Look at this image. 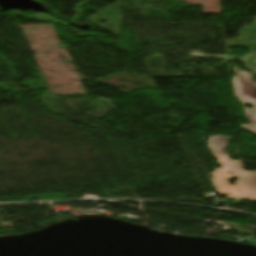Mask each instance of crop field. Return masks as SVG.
Here are the masks:
<instances>
[{"label": "crop field", "instance_id": "obj_3", "mask_svg": "<svg viewBox=\"0 0 256 256\" xmlns=\"http://www.w3.org/2000/svg\"><path fill=\"white\" fill-rule=\"evenodd\" d=\"M248 200H256V171H245Z\"/></svg>", "mask_w": 256, "mask_h": 256}, {"label": "crop field", "instance_id": "obj_1", "mask_svg": "<svg viewBox=\"0 0 256 256\" xmlns=\"http://www.w3.org/2000/svg\"><path fill=\"white\" fill-rule=\"evenodd\" d=\"M227 142L228 138L222 136H212L208 142L213 155L218 157V163L222 165V169H215L213 182L219 195L245 200L247 195L243 162L233 161L229 156L224 155ZM233 179H238V182H235L236 186L227 184Z\"/></svg>", "mask_w": 256, "mask_h": 256}, {"label": "crop field", "instance_id": "obj_2", "mask_svg": "<svg viewBox=\"0 0 256 256\" xmlns=\"http://www.w3.org/2000/svg\"><path fill=\"white\" fill-rule=\"evenodd\" d=\"M237 73L233 77L235 96L243 103L244 108L253 104L254 108L246 109L245 116L250 126L241 125L242 129L256 135V83L252 81V74L233 68Z\"/></svg>", "mask_w": 256, "mask_h": 256}]
</instances>
